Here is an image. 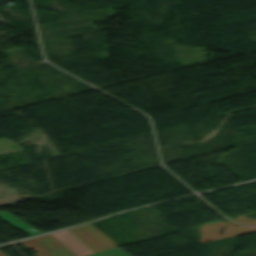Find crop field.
I'll return each instance as SVG.
<instances>
[{
	"label": "crop field",
	"mask_w": 256,
	"mask_h": 256,
	"mask_svg": "<svg viewBox=\"0 0 256 256\" xmlns=\"http://www.w3.org/2000/svg\"><path fill=\"white\" fill-rule=\"evenodd\" d=\"M26 249H34L35 256H82L118 247L92 224L20 241Z\"/></svg>",
	"instance_id": "crop-field-1"
},
{
	"label": "crop field",
	"mask_w": 256,
	"mask_h": 256,
	"mask_svg": "<svg viewBox=\"0 0 256 256\" xmlns=\"http://www.w3.org/2000/svg\"><path fill=\"white\" fill-rule=\"evenodd\" d=\"M0 218L30 236L41 234V232H39L36 229L32 228L31 226L25 224L24 222L20 221L19 219H17L16 217L12 216L11 214H9L7 212H0Z\"/></svg>",
	"instance_id": "crop-field-2"
},
{
	"label": "crop field",
	"mask_w": 256,
	"mask_h": 256,
	"mask_svg": "<svg viewBox=\"0 0 256 256\" xmlns=\"http://www.w3.org/2000/svg\"><path fill=\"white\" fill-rule=\"evenodd\" d=\"M86 256H130L128 253H126L123 249L120 247L86 255Z\"/></svg>",
	"instance_id": "crop-field-3"
},
{
	"label": "crop field",
	"mask_w": 256,
	"mask_h": 256,
	"mask_svg": "<svg viewBox=\"0 0 256 256\" xmlns=\"http://www.w3.org/2000/svg\"><path fill=\"white\" fill-rule=\"evenodd\" d=\"M0 256H5V255H3V254L0 252Z\"/></svg>",
	"instance_id": "crop-field-4"
}]
</instances>
